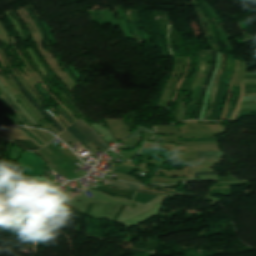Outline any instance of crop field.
<instances>
[{
  "label": "crop field",
  "mask_w": 256,
  "mask_h": 256,
  "mask_svg": "<svg viewBox=\"0 0 256 256\" xmlns=\"http://www.w3.org/2000/svg\"><path fill=\"white\" fill-rule=\"evenodd\" d=\"M36 86L41 91V93L46 97V99L49 101L48 95H47L46 91L42 88V86L39 83H36Z\"/></svg>",
  "instance_id": "20"
},
{
  "label": "crop field",
  "mask_w": 256,
  "mask_h": 256,
  "mask_svg": "<svg viewBox=\"0 0 256 256\" xmlns=\"http://www.w3.org/2000/svg\"><path fill=\"white\" fill-rule=\"evenodd\" d=\"M200 89H201L200 87H198V86L196 87V90H195L194 95H193V97H192V102H191V104H189V106L186 108V110H188L189 113H190V114H189V117H186V116H185V112H184L182 121H184V120H189L191 114L194 112V110H195V108H196L197 98H198ZM186 110H185V111H186Z\"/></svg>",
  "instance_id": "7"
},
{
  "label": "crop field",
  "mask_w": 256,
  "mask_h": 256,
  "mask_svg": "<svg viewBox=\"0 0 256 256\" xmlns=\"http://www.w3.org/2000/svg\"><path fill=\"white\" fill-rule=\"evenodd\" d=\"M7 73H9L12 77V79L14 80V82L19 86V88L26 94V96L34 103V105L36 106V108L42 113L44 114L49 120H51L53 122V125L57 128V130L59 131H63L64 129L61 128L58 123L46 112L42 111L40 106L37 104V102L31 97V95L26 91V89L19 83V81L10 73L9 70H6Z\"/></svg>",
  "instance_id": "4"
},
{
  "label": "crop field",
  "mask_w": 256,
  "mask_h": 256,
  "mask_svg": "<svg viewBox=\"0 0 256 256\" xmlns=\"http://www.w3.org/2000/svg\"><path fill=\"white\" fill-rule=\"evenodd\" d=\"M14 142H16L18 145H20L22 148L26 149V150H31L34 151L36 149H39V147H37L34 143H32L31 141H27V140H16L14 139Z\"/></svg>",
  "instance_id": "11"
},
{
  "label": "crop field",
  "mask_w": 256,
  "mask_h": 256,
  "mask_svg": "<svg viewBox=\"0 0 256 256\" xmlns=\"http://www.w3.org/2000/svg\"><path fill=\"white\" fill-rule=\"evenodd\" d=\"M141 131L150 132V133H154L155 134V131H151V130H148L147 128L143 127V126H140L133 134H131L127 138L141 137Z\"/></svg>",
  "instance_id": "17"
},
{
  "label": "crop field",
  "mask_w": 256,
  "mask_h": 256,
  "mask_svg": "<svg viewBox=\"0 0 256 256\" xmlns=\"http://www.w3.org/2000/svg\"><path fill=\"white\" fill-rule=\"evenodd\" d=\"M218 172H197L194 174V176H197V175H205V174H217Z\"/></svg>",
  "instance_id": "22"
},
{
  "label": "crop field",
  "mask_w": 256,
  "mask_h": 256,
  "mask_svg": "<svg viewBox=\"0 0 256 256\" xmlns=\"http://www.w3.org/2000/svg\"><path fill=\"white\" fill-rule=\"evenodd\" d=\"M217 85H218V84H215V85H214L213 92H212V95H211V108H210V110H209V114L206 115V117H205L204 120H207V119H208V117H209V115H210V112H211V110H212V108H213L214 95H215V93H216V91H217Z\"/></svg>",
  "instance_id": "18"
},
{
  "label": "crop field",
  "mask_w": 256,
  "mask_h": 256,
  "mask_svg": "<svg viewBox=\"0 0 256 256\" xmlns=\"http://www.w3.org/2000/svg\"><path fill=\"white\" fill-rule=\"evenodd\" d=\"M6 100H7V101L10 103V105L18 112L19 116H20L21 118H23V119L27 122V124H28L29 126L33 127L32 122H31L30 120H28V119L24 116V114L20 111V109L17 107V105H15L14 102H13L10 98H8V99H6Z\"/></svg>",
  "instance_id": "16"
},
{
  "label": "crop field",
  "mask_w": 256,
  "mask_h": 256,
  "mask_svg": "<svg viewBox=\"0 0 256 256\" xmlns=\"http://www.w3.org/2000/svg\"><path fill=\"white\" fill-rule=\"evenodd\" d=\"M237 97H238V87L235 86V89H234V98H232V102H231V103H235ZM234 105H235V104H231V106H230V108H229V110H228V113H227V118H226V120L231 119L232 113H233V109H234Z\"/></svg>",
  "instance_id": "15"
},
{
  "label": "crop field",
  "mask_w": 256,
  "mask_h": 256,
  "mask_svg": "<svg viewBox=\"0 0 256 256\" xmlns=\"http://www.w3.org/2000/svg\"><path fill=\"white\" fill-rule=\"evenodd\" d=\"M55 107V106H54ZM59 111H60V113L65 117V118H67L69 121H71L72 123H74L73 122V120L62 110V109H60V108H57Z\"/></svg>",
  "instance_id": "21"
},
{
  "label": "crop field",
  "mask_w": 256,
  "mask_h": 256,
  "mask_svg": "<svg viewBox=\"0 0 256 256\" xmlns=\"http://www.w3.org/2000/svg\"><path fill=\"white\" fill-rule=\"evenodd\" d=\"M110 185L115 187L125 188V189H134V190H137L140 187V185L129 184L121 181L114 182Z\"/></svg>",
  "instance_id": "12"
},
{
  "label": "crop field",
  "mask_w": 256,
  "mask_h": 256,
  "mask_svg": "<svg viewBox=\"0 0 256 256\" xmlns=\"http://www.w3.org/2000/svg\"><path fill=\"white\" fill-rule=\"evenodd\" d=\"M61 94L70 102V104L76 109V111L80 114L81 117H84L79 111L78 109L75 107V105L73 104V102L71 101V99L63 92L61 91ZM68 102V103H69Z\"/></svg>",
  "instance_id": "19"
},
{
  "label": "crop field",
  "mask_w": 256,
  "mask_h": 256,
  "mask_svg": "<svg viewBox=\"0 0 256 256\" xmlns=\"http://www.w3.org/2000/svg\"><path fill=\"white\" fill-rule=\"evenodd\" d=\"M83 146L89 145L91 140L74 124L66 128Z\"/></svg>",
  "instance_id": "6"
},
{
  "label": "crop field",
  "mask_w": 256,
  "mask_h": 256,
  "mask_svg": "<svg viewBox=\"0 0 256 256\" xmlns=\"http://www.w3.org/2000/svg\"><path fill=\"white\" fill-rule=\"evenodd\" d=\"M209 59H210V52L206 53L201 57L200 71L204 75H207Z\"/></svg>",
  "instance_id": "10"
},
{
  "label": "crop field",
  "mask_w": 256,
  "mask_h": 256,
  "mask_svg": "<svg viewBox=\"0 0 256 256\" xmlns=\"http://www.w3.org/2000/svg\"><path fill=\"white\" fill-rule=\"evenodd\" d=\"M17 99L23 104L24 108L33 116V118L45 129L51 131L45 124H43L39 118L30 110L29 106L26 104V102L21 98L19 94L15 95ZM53 132V131H51ZM54 133V132H53ZM55 134V133H54ZM57 135V134H56Z\"/></svg>",
  "instance_id": "9"
},
{
  "label": "crop field",
  "mask_w": 256,
  "mask_h": 256,
  "mask_svg": "<svg viewBox=\"0 0 256 256\" xmlns=\"http://www.w3.org/2000/svg\"><path fill=\"white\" fill-rule=\"evenodd\" d=\"M27 205H32V206L38 207L37 205H33V204H23V205L14 207L12 209H9L6 212H4L2 215H0V223L2 221H4L7 217L13 215L14 213H16V212H18V211H20L22 209H26Z\"/></svg>",
  "instance_id": "8"
},
{
  "label": "crop field",
  "mask_w": 256,
  "mask_h": 256,
  "mask_svg": "<svg viewBox=\"0 0 256 256\" xmlns=\"http://www.w3.org/2000/svg\"><path fill=\"white\" fill-rule=\"evenodd\" d=\"M244 82H256V78L245 79Z\"/></svg>",
  "instance_id": "27"
},
{
  "label": "crop field",
  "mask_w": 256,
  "mask_h": 256,
  "mask_svg": "<svg viewBox=\"0 0 256 256\" xmlns=\"http://www.w3.org/2000/svg\"><path fill=\"white\" fill-rule=\"evenodd\" d=\"M198 158H221L222 152H197Z\"/></svg>",
  "instance_id": "13"
},
{
  "label": "crop field",
  "mask_w": 256,
  "mask_h": 256,
  "mask_svg": "<svg viewBox=\"0 0 256 256\" xmlns=\"http://www.w3.org/2000/svg\"><path fill=\"white\" fill-rule=\"evenodd\" d=\"M0 195H2V194H0ZM2 196H10V195H2Z\"/></svg>",
  "instance_id": "29"
},
{
  "label": "crop field",
  "mask_w": 256,
  "mask_h": 256,
  "mask_svg": "<svg viewBox=\"0 0 256 256\" xmlns=\"http://www.w3.org/2000/svg\"><path fill=\"white\" fill-rule=\"evenodd\" d=\"M141 152H143V153H149V154H155V155H159V156H163V157H167V158H169V156H170L171 153H172V151H170V152L155 151V150H151V149H147V148H143Z\"/></svg>",
  "instance_id": "14"
},
{
  "label": "crop field",
  "mask_w": 256,
  "mask_h": 256,
  "mask_svg": "<svg viewBox=\"0 0 256 256\" xmlns=\"http://www.w3.org/2000/svg\"><path fill=\"white\" fill-rule=\"evenodd\" d=\"M6 186L7 184L2 183V191L0 193L6 194Z\"/></svg>",
  "instance_id": "25"
},
{
  "label": "crop field",
  "mask_w": 256,
  "mask_h": 256,
  "mask_svg": "<svg viewBox=\"0 0 256 256\" xmlns=\"http://www.w3.org/2000/svg\"><path fill=\"white\" fill-rule=\"evenodd\" d=\"M8 176H24L21 174H9V175H5L3 181L7 182L8 181Z\"/></svg>",
  "instance_id": "23"
},
{
  "label": "crop field",
  "mask_w": 256,
  "mask_h": 256,
  "mask_svg": "<svg viewBox=\"0 0 256 256\" xmlns=\"http://www.w3.org/2000/svg\"><path fill=\"white\" fill-rule=\"evenodd\" d=\"M220 159H195L194 161H219Z\"/></svg>",
  "instance_id": "24"
},
{
  "label": "crop field",
  "mask_w": 256,
  "mask_h": 256,
  "mask_svg": "<svg viewBox=\"0 0 256 256\" xmlns=\"http://www.w3.org/2000/svg\"><path fill=\"white\" fill-rule=\"evenodd\" d=\"M151 184H154V185H164V184H155V183H151ZM167 185H169V184H167Z\"/></svg>",
  "instance_id": "28"
},
{
  "label": "crop field",
  "mask_w": 256,
  "mask_h": 256,
  "mask_svg": "<svg viewBox=\"0 0 256 256\" xmlns=\"http://www.w3.org/2000/svg\"><path fill=\"white\" fill-rule=\"evenodd\" d=\"M74 124L77 127H79L97 147L102 148L104 150L108 148L106 144L101 140V138L93 131V129L82 119Z\"/></svg>",
  "instance_id": "2"
},
{
  "label": "crop field",
  "mask_w": 256,
  "mask_h": 256,
  "mask_svg": "<svg viewBox=\"0 0 256 256\" xmlns=\"http://www.w3.org/2000/svg\"><path fill=\"white\" fill-rule=\"evenodd\" d=\"M0 125H9V124L0 116Z\"/></svg>",
  "instance_id": "26"
},
{
  "label": "crop field",
  "mask_w": 256,
  "mask_h": 256,
  "mask_svg": "<svg viewBox=\"0 0 256 256\" xmlns=\"http://www.w3.org/2000/svg\"><path fill=\"white\" fill-rule=\"evenodd\" d=\"M12 111L13 110L8 102L2 96H0V113L9 123L19 125L18 123L22 121L16 116L11 117L9 113Z\"/></svg>",
  "instance_id": "3"
},
{
  "label": "crop field",
  "mask_w": 256,
  "mask_h": 256,
  "mask_svg": "<svg viewBox=\"0 0 256 256\" xmlns=\"http://www.w3.org/2000/svg\"><path fill=\"white\" fill-rule=\"evenodd\" d=\"M25 176L43 175L44 171L41 166L46 163L32 152H23L17 160Z\"/></svg>",
  "instance_id": "1"
},
{
  "label": "crop field",
  "mask_w": 256,
  "mask_h": 256,
  "mask_svg": "<svg viewBox=\"0 0 256 256\" xmlns=\"http://www.w3.org/2000/svg\"><path fill=\"white\" fill-rule=\"evenodd\" d=\"M215 57H216V52H211V64H210V70H209V73L205 79V82H204V85L202 87V90L200 92V96H199V105L197 107V110H196V113H195V116L193 119H197L198 118V115L200 113V108H201V104H202V99H203V94H204V90L206 88V85L208 83V80H209V77L214 69V64H215Z\"/></svg>",
  "instance_id": "5"
}]
</instances>
